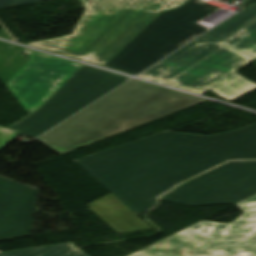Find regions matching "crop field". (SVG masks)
<instances>
[{
  "label": "crop field",
  "instance_id": "obj_12",
  "mask_svg": "<svg viewBox=\"0 0 256 256\" xmlns=\"http://www.w3.org/2000/svg\"><path fill=\"white\" fill-rule=\"evenodd\" d=\"M254 18H256V4L249 6L202 36L220 43L240 30Z\"/></svg>",
  "mask_w": 256,
  "mask_h": 256
},
{
  "label": "crop field",
  "instance_id": "obj_17",
  "mask_svg": "<svg viewBox=\"0 0 256 256\" xmlns=\"http://www.w3.org/2000/svg\"><path fill=\"white\" fill-rule=\"evenodd\" d=\"M253 3H256V0H248L243 5H241V7L246 8L247 6H249V5L253 4Z\"/></svg>",
  "mask_w": 256,
  "mask_h": 256
},
{
  "label": "crop field",
  "instance_id": "obj_13",
  "mask_svg": "<svg viewBox=\"0 0 256 256\" xmlns=\"http://www.w3.org/2000/svg\"><path fill=\"white\" fill-rule=\"evenodd\" d=\"M0 256H88L71 242L0 253Z\"/></svg>",
  "mask_w": 256,
  "mask_h": 256
},
{
  "label": "crop field",
  "instance_id": "obj_9",
  "mask_svg": "<svg viewBox=\"0 0 256 256\" xmlns=\"http://www.w3.org/2000/svg\"><path fill=\"white\" fill-rule=\"evenodd\" d=\"M29 60L5 85L27 110L35 111L82 65L20 47Z\"/></svg>",
  "mask_w": 256,
  "mask_h": 256
},
{
  "label": "crop field",
  "instance_id": "obj_3",
  "mask_svg": "<svg viewBox=\"0 0 256 256\" xmlns=\"http://www.w3.org/2000/svg\"><path fill=\"white\" fill-rule=\"evenodd\" d=\"M79 1L85 10L72 35L27 44L103 66L160 12L186 0Z\"/></svg>",
  "mask_w": 256,
  "mask_h": 256
},
{
  "label": "crop field",
  "instance_id": "obj_8",
  "mask_svg": "<svg viewBox=\"0 0 256 256\" xmlns=\"http://www.w3.org/2000/svg\"><path fill=\"white\" fill-rule=\"evenodd\" d=\"M256 194V161L229 162L161 197L186 206L233 204Z\"/></svg>",
  "mask_w": 256,
  "mask_h": 256
},
{
  "label": "crop field",
  "instance_id": "obj_5",
  "mask_svg": "<svg viewBox=\"0 0 256 256\" xmlns=\"http://www.w3.org/2000/svg\"><path fill=\"white\" fill-rule=\"evenodd\" d=\"M219 7L188 0L177 9L159 14L104 67L138 74L206 31L207 28L195 22Z\"/></svg>",
  "mask_w": 256,
  "mask_h": 256
},
{
  "label": "crop field",
  "instance_id": "obj_11",
  "mask_svg": "<svg viewBox=\"0 0 256 256\" xmlns=\"http://www.w3.org/2000/svg\"><path fill=\"white\" fill-rule=\"evenodd\" d=\"M87 206L118 233L149 228L111 193Z\"/></svg>",
  "mask_w": 256,
  "mask_h": 256
},
{
  "label": "crop field",
  "instance_id": "obj_1",
  "mask_svg": "<svg viewBox=\"0 0 256 256\" xmlns=\"http://www.w3.org/2000/svg\"><path fill=\"white\" fill-rule=\"evenodd\" d=\"M228 159H256V123L210 136L164 131L75 162L137 215L177 183Z\"/></svg>",
  "mask_w": 256,
  "mask_h": 256
},
{
  "label": "crop field",
  "instance_id": "obj_14",
  "mask_svg": "<svg viewBox=\"0 0 256 256\" xmlns=\"http://www.w3.org/2000/svg\"><path fill=\"white\" fill-rule=\"evenodd\" d=\"M223 44L256 57V21Z\"/></svg>",
  "mask_w": 256,
  "mask_h": 256
},
{
  "label": "crop field",
  "instance_id": "obj_7",
  "mask_svg": "<svg viewBox=\"0 0 256 256\" xmlns=\"http://www.w3.org/2000/svg\"><path fill=\"white\" fill-rule=\"evenodd\" d=\"M128 79L83 65L35 112L10 129L37 137Z\"/></svg>",
  "mask_w": 256,
  "mask_h": 256
},
{
  "label": "crop field",
  "instance_id": "obj_6",
  "mask_svg": "<svg viewBox=\"0 0 256 256\" xmlns=\"http://www.w3.org/2000/svg\"><path fill=\"white\" fill-rule=\"evenodd\" d=\"M231 224L201 221L130 256H256V195Z\"/></svg>",
  "mask_w": 256,
  "mask_h": 256
},
{
  "label": "crop field",
  "instance_id": "obj_10",
  "mask_svg": "<svg viewBox=\"0 0 256 256\" xmlns=\"http://www.w3.org/2000/svg\"><path fill=\"white\" fill-rule=\"evenodd\" d=\"M35 193L0 177V240L30 235Z\"/></svg>",
  "mask_w": 256,
  "mask_h": 256
},
{
  "label": "crop field",
  "instance_id": "obj_16",
  "mask_svg": "<svg viewBox=\"0 0 256 256\" xmlns=\"http://www.w3.org/2000/svg\"><path fill=\"white\" fill-rule=\"evenodd\" d=\"M41 0H0V8L9 7L14 5H20L30 2H36Z\"/></svg>",
  "mask_w": 256,
  "mask_h": 256
},
{
  "label": "crop field",
  "instance_id": "obj_4",
  "mask_svg": "<svg viewBox=\"0 0 256 256\" xmlns=\"http://www.w3.org/2000/svg\"><path fill=\"white\" fill-rule=\"evenodd\" d=\"M253 59L200 36L138 77L230 101L256 88L235 73Z\"/></svg>",
  "mask_w": 256,
  "mask_h": 256
},
{
  "label": "crop field",
  "instance_id": "obj_2",
  "mask_svg": "<svg viewBox=\"0 0 256 256\" xmlns=\"http://www.w3.org/2000/svg\"><path fill=\"white\" fill-rule=\"evenodd\" d=\"M204 101L131 80L36 140L61 155Z\"/></svg>",
  "mask_w": 256,
  "mask_h": 256
},
{
  "label": "crop field",
  "instance_id": "obj_15",
  "mask_svg": "<svg viewBox=\"0 0 256 256\" xmlns=\"http://www.w3.org/2000/svg\"><path fill=\"white\" fill-rule=\"evenodd\" d=\"M18 131L10 130L0 126V147L15 136Z\"/></svg>",
  "mask_w": 256,
  "mask_h": 256
}]
</instances>
